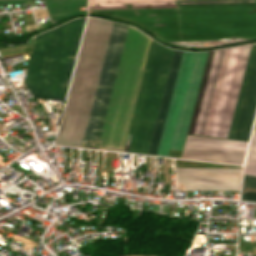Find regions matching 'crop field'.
<instances>
[{
  "instance_id": "1",
  "label": "crop field",
  "mask_w": 256,
  "mask_h": 256,
  "mask_svg": "<svg viewBox=\"0 0 256 256\" xmlns=\"http://www.w3.org/2000/svg\"><path fill=\"white\" fill-rule=\"evenodd\" d=\"M252 45L207 53L187 134L227 138Z\"/></svg>"
},
{
  "instance_id": "2",
  "label": "crop field",
  "mask_w": 256,
  "mask_h": 256,
  "mask_svg": "<svg viewBox=\"0 0 256 256\" xmlns=\"http://www.w3.org/2000/svg\"><path fill=\"white\" fill-rule=\"evenodd\" d=\"M112 24L87 20L57 144L79 146L83 138Z\"/></svg>"
},
{
  "instance_id": "3",
  "label": "crop field",
  "mask_w": 256,
  "mask_h": 256,
  "mask_svg": "<svg viewBox=\"0 0 256 256\" xmlns=\"http://www.w3.org/2000/svg\"><path fill=\"white\" fill-rule=\"evenodd\" d=\"M84 20H72L36 37L24 80L33 97L65 99Z\"/></svg>"
},
{
  "instance_id": "4",
  "label": "crop field",
  "mask_w": 256,
  "mask_h": 256,
  "mask_svg": "<svg viewBox=\"0 0 256 256\" xmlns=\"http://www.w3.org/2000/svg\"><path fill=\"white\" fill-rule=\"evenodd\" d=\"M173 51L152 42L129 134L133 137L128 152L148 153Z\"/></svg>"
},
{
  "instance_id": "5",
  "label": "crop field",
  "mask_w": 256,
  "mask_h": 256,
  "mask_svg": "<svg viewBox=\"0 0 256 256\" xmlns=\"http://www.w3.org/2000/svg\"><path fill=\"white\" fill-rule=\"evenodd\" d=\"M206 53H183L157 155L183 149Z\"/></svg>"
},
{
  "instance_id": "6",
  "label": "crop field",
  "mask_w": 256,
  "mask_h": 256,
  "mask_svg": "<svg viewBox=\"0 0 256 256\" xmlns=\"http://www.w3.org/2000/svg\"><path fill=\"white\" fill-rule=\"evenodd\" d=\"M127 28V26H124L122 24H113L108 48L106 51L100 79L98 82L93 106L91 109L84 137V140H87L85 147H98Z\"/></svg>"
},
{
  "instance_id": "7",
  "label": "crop field",
  "mask_w": 256,
  "mask_h": 256,
  "mask_svg": "<svg viewBox=\"0 0 256 256\" xmlns=\"http://www.w3.org/2000/svg\"><path fill=\"white\" fill-rule=\"evenodd\" d=\"M248 142L188 135L183 157L243 164Z\"/></svg>"
},
{
  "instance_id": "8",
  "label": "crop field",
  "mask_w": 256,
  "mask_h": 256,
  "mask_svg": "<svg viewBox=\"0 0 256 256\" xmlns=\"http://www.w3.org/2000/svg\"><path fill=\"white\" fill-rule=\"evenodd\" d=\"M242 168L176 167L187 190H239Z\"/></svg>"
},
{
  "instance_id": "9",
  "label": "crop field",
  "mask_w": 256,
  "mask_h": 256,
  "mask_svg": "<svg viewBox=\"0 0 256 256\" xmlns=\"http://www.w3.org/2000/svg\"><path fill=\"white\" fill-rule=\"evenodd\" d=\"M256 111V44H253L229 137L249 141Z\"/></svg>"
},
{
  "instance_id": "10",
  "label": "crop field",
  "mask_w": 256,
  "mask_h": 256,
  "mask_svg": "<svg viewBox=\"0 0 256 256\" xmlns=\"http://www.w3.org/2000/svg\"><path fill=\"white\" fill-rule=\"evenodd\" d=\"M182 53L183 52H181V51H177V50L174 51L167 83L165 86V90H164V94H163V98H162V102H161V106H160V110H159V114H158V118L156 121V125H155V129H154V133H153V137H152V141H151V145H150L148 154H154V155L157 154V150H158L162 130L164 127L169 103L171 100L175 80L177 77Z\"/></svg>"
},
{
  "instance_id": "11",
  "label": "crop field",
  "mask_w": 256,
  "mask_h": 256,
  "mask_svg": "<svg viewBox=\"0 0 256 256\" xmlns=\"http://www.w3.org/2000/svg\"><path fill=\"white\" fill-rule=\"evenodd\" d=\"M31 1V0H0L1 4ZM51 23H56L70 15L86 13V11H79L80 5H86L87 0H44Z\"/></svg>"
},
{
  "instance_id": "12",
  "label": "crop field",
  "mask_w": 256,
  "mask_h": 256,
  "mask_svg": "<svg viewBox=\"0 0 256 256\" xmlns=\"http://www.w3.org/2000/svg\"><path fill=\"white\" fill-rule=\"evenodd\" d=\"M256 130V124L255 128ZM256 152V131L253 132L249 150ZM248 152L244 174L256 176V153ZM244 175L242 199L256 201V177Z\"/></svg>"
},
{
  "instance_id": "13",
  "label": "crop field",
  "mask_w": 256,
  "mask_h": 256,
  "mask_svg": "<svg viewBox=\"0 0 256 256\" xmlns=\"http://www.w3.org/2000/svg\"><path fill=\"white\" fill-rule=\"evenodd\" d=\"M131 137H132V136H129V137H128V141H127V145H126L125 152L128 151V147H129V144H130V141H131Z\"/></svg>"
}]
</instances>
